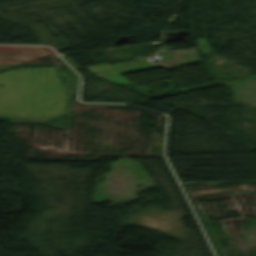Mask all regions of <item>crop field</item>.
<instances>
[{
	"mask_svg": "<svg viewBox=\"0 0 256 256\" xmlns=\"http://www.w3.org/2000/svg\"><path fill=\"white\" fill-rule=\"evenodd\" d=\"M77 70L79 68L70 58L64 56ZM164 65L160 63L151 64L147 56L140 57L137 60L125 61L116 64H102L91 67H86V69L91 72L94 76H97L105 81L116 84L118 86L130 84L124 77L120 74L129 73L134 71L146 70L151 68L162 67Z\"/></svg>",
	"mask_w": 256,
	"mask_h": 256,
	"instance_id": "1",
	"label": "crop field"
},
{
	"mask_svg": "<svg viewBox=\"0 0 256 256\" xmlns=\"http://www.w3.org/2000/svg\"><path fill=\"white\" fill-rule=\"evenodd\" d=\"M48 53L42 47L36 46H0V64H17ZM9 58L22 60H9Z\"/></svg>",
	"mask_w": 256,
	"mask_h": 256,
	"instance_id": "2",
	"label": "crop field"
},
{
	"mask_svg": "<svg viewBox=\"0 0 256 256\" xmlns=\"http://www.w3.org/2000/svg\"><path fill=\"white\" fill-rule=\"evenodd\" d=\"M162 64L174 65L201 61L194 48L157 53Z\"/></svg>",
	"mask_w": 256,
	"mask_h": 256,
	"instance_id": "3",
	"label": "crop field"
},
{
	"mask_svg": "<svg viewBox=\"0 0 256 256\" xmlns=\"http://www.w3.org/2000/svg\"><path fill=\"white\" fill-rule=\"evenodd\" d=\"M196 42H197L203 55H206V54L212 52L205 38L197 39Z\"/></svg>",
	"mask_w": 256,
	"mask_h": 256,
	"instance_id": "4",
	"label": "crop field"
}]
</instances>
